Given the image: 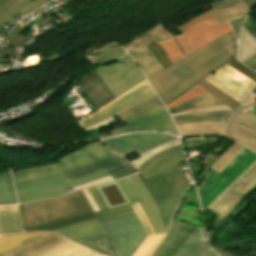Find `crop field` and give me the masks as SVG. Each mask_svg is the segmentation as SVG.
I'll return each instance as SVG.
<instances>
[{
	"mask_svg": "<svg viewBox=\"0 0 256 256\" xmlns=\"http://www.w3.org/2000/svg\"><path fill=\"white\" fill-rule=\"evenodd\" d=\"M109 175L106 169L82 178L67 181L63 173L15 184L18 202L37 201L69 193L66 189Z\"/></svg>",
	"mask_w": 256,
	"mask_h": 256,
	"instance_id": "obj_5",
	"label": "crop field"
},
{
	"mask_svg": "<svg viewBox=\"0 0 256 256\" xmlns=\"http://www.w3.org/2000/svg\"><path fill=\"white\" fill-rule=\"evenodd\" d=\"M246 16L239 18L237 20L234 21H230L232 28L234 30V33L236 35V38H238V34H239V30H240V25L243 22V20L245 19Z\"/></svg>",
	"mask_w": 256,
	"mask_h": 256,
	"instance_id": "obj_53",
	"label": "crop field"
},
{
	"mask_svg": "<svg viewBox=\"0 0 256 256\" xmlns=\"http://www.w3.org/2000/svg\"><path fill=\"white\" fill-rule=\"evenodd\" d=\"M115 155L99 142L87 144L83 149L61 158V163L12 172L14 182L35 179Z\"/></svg>",
	"mask_w": 256,
	"mask_h": 256,
	"instance_id": "obj_7",
	"label": "crop field"
},
{
	"mask_svg": "<svg viewBox=\"0 0 256 256\" xmlns=\"http://www.w3.org/2000/svg\"><path fill=\"white\" fill-rule=\"evenodd\" d=\"M256 187V163L247 170L232 186H230L209 208L208 210L217 213L213 223L210 238L216 225L229 213V211L239 202L240 198L248 191Z\"/></svg>",
	"mask_w": 256,
	"mask_h": 256,
	"instance_id": "obj_10",
	"label": "crop field"
},
{
	"mask_svg": "<svg viewBox=\"0 0 256 256\" xmlns=\"http://www.w3.org/2000/svg\"><path fill=\"white\" fill-rule=\"evenodd\" d=\"M204 256H216L213 252H212V250L209 248V250L205 253V255Z\"/></svg>",
	"mask_w": 256,
	"mask_h": 256,
	"instance_id": "obj_58",
	"label": "crop field"
},
{
	"mask_svg": "<svg viewBox=\"0 0 256 256\" xmlns=\"http://www.w3.org/2000/svg\"><path fill=\"white\" fill-rule=\"evenodd\" d=\"M30 1L32 0H0V26L3 23L8 24L10 20L6 18Z\"/></svg>",
	"mask_w": 256,
	"mask_h": 256,
	"instance_id": "obj_38",
	"label": "crop field"
},
{
	"mask_svg": "<svg viewBox=\"0 0 256 256\" xmlns=\"http://www.w3.org/2000/svg\"><path fill=\"white\" fill-rule=\"evenodd\" d=\"M88 190L100 210L96 212L99 220L134 212L131 204L109 209L97 186L89 187Z\"/></svg>",
	"mask_w": 256,
	"mask_h": 256,
	"instance_id": "obj_26",
	"label": "crop field"
},
{
	"mask_svg": "<svg viewBox=\"0 0 256 256\" xmlns=\"http://www.w3.org/2000/svg\"><path fill=\"white\" fill-rule=\"evenodd\" d=\"M128 52L141 67L147 78L164 70L147 45L133 47Z\"/></svg>",
	"mask_w": 256,
	"mask_h": 256,
	"instance_id": "obj_23",
	"label": "crop field"
},
{
	"mask_svg": "<svg viewBox=\"0 0 256 256\" xmlns=\"http://www.w3.org/2000/svg\"><path fill=\"white\" fill-rule=\"evenodd\" d=\"M49 234H52V233L32 232V233L11 234V235H5L3 237H0V254L8 250H11L13 248L30 243L34 240H37Z\"/></svg>",
	"mask_w": 256,
	"mask_h": 256,
	"instance_id": "obj_28",
	"label": "crop field"
},
{
	"mask_svg": "<svg viewBox=\"0 0 256 256\" xmlns=\"http://www.w3.org/2000/svg\"><path fill=\"white\" fill-rule=\"evenodd\" d=\"M207 93V91H205L202 87L200 86H196L193 89H191L189 92H187L186 94H184L182 97H180L179 99L171 102L170 104L166 105L167 109L186 100L192 99L194 97H197L199 95L205 94Z\"/></svg>",
	"mask_w": 256,
	"mask_h": 256,
	"instance_id": "obj_45",
	"label": "crop field"
},
{
	"mask_svg": "<svg viewBox=\"0 0 256 256\" xmlns=\"http://www.w3.org/2000/svg\"><path fill=\"white\" fill-rule=\"evenodd\" d=\"M203 22H217L212 9L201 14L200 16L192 19L191 21L187 22L186 24L178 27V29L182 33L184 31L192 28L193 26L201 24Z\"/></svg>",
	"mask_w": 256,
	"mask_h": 256,
	"instance_id": "obj_44",
	"label": "crop field"
},
{
	"mask_svg": "<svg viewBox=\"0 0 256 256\" xmlns=\"http://www.w3.org/2000/svg\"><path fill=\"white\" fill-rule=\"evenodd\" d=\"M25 232L52 230L95 219L82 192L20 205Z\"/></svg>",
	"mask_w": 256,
	"mask_h": 256,
	"instance_id": "obj_2",
	"label": "crop field"
},
{
	"mask_svg": "<svg viewBox=\"0 0 256 256\" xmlns=\"http://www.w3.org/2000/svg\"><path fill=\"white\" fill-rule=\"evenodd\" d=\"M218 21H230L244 16L249 9L242 0H222L211 4Z\"/></svg>",
	"mask_w": 256,
	"mask_h": 256,
	"instance_id": "obj_22",
	"label": "crop field"
},
{
	"mask_svg": "<svg viewBox=\"0 0 256 256\" xmlns=\"http://www.w3.org/2000/svg\"><path fill=\"white\" fill-rule=\"evenodd\" d=\"M23 232L18 205H0V233Z\"/></svg>",
	"mask_w": 256,
	"mask_h": 256,
	"instance_id": "obj_24",
	"label": "crop field"
},
{
	"mask_svg": "<svg viewBox=\"0 0 256 256\" xmlns=\"http://www.w3.org/2000/svg\"><path fill=\"white\" fill-rule=\"evenodd\" d=\"M0 256H8L6 253H4V254H2V255H0Z\"/></svg>",
	"mask_w": 256,
	"mask_h": 256,
	"instance_id": "obj_60",
	"label": "crop field"
},
{
	"mask_svg": "<svg viewBox=\"0 0 256 256\" xmlns=\"http://www.w3.org/2000/svg\"><path fill=\"white\" fill-rule=\"evenodd\" d=\"M75 242L106 235L98 219L52 230Z\"/></svg>",
	"mask_w": 256,
	"mask_h": 256,
	"instance_id": "obj_21",
	"label": "crop field"
},
{
	"mask_svg": "<svg viewBox=\"0 0 256 256\" xmlns=\"http://www.w3.org/2000/svg\"><path fill=\"white\" fill-rule=\"evenodd\" d=\"M205 80L240 103L256 85L251 79L238 73L228 65L217 70Z\"/></svg>",
	"mask_w": 256,
	"mask_h": 256,
	"instance_id": "obj_14",
	"label": "crop field"
},
{
	"mask_svg": "<svg viewBox=\"0 0 256 256\" xmlns=\"http://www.w3.org/2000/svg\"><path fill=\"white\" fill-rule=\"evenodd\" d=\"M164 235L165 234L148 236L134 256H149L162 241Z\"/></svg>",
	"mask_w": 256,
	"mask_h": 256,
	"instance_id": "obj_41",
	"label": "crop field"
},
{
	"mask_svg": "<svg viewBox=\"0 0 256 256\" xmlns=\"http://www.w3.org/2000/svg\"><path fill=\"white\" fill-rule=\"evenodd\" d=\"M225 123H193L177 126L180 136L200 134H220Z\"/></svg>",
	"mask_w": 256,
	"mask_h": 256,
	"instance_id": "obj_31",
	"label": "crop field"
},
{
	"mask_svg": "<svg viewBox=\"0 0 256 256\" xmlns=\"http://www.w3.org/2000/svg\"><path fill=\"white\" fill-rule=\"evenodd\" d=\"M0 236H3V235H0Z\"/></svg>",
	"mask_w": 256,
	"mask_h": 256,
	"instance_id": "obj_62",
	"label": "crop field"
},
{
	"mask_svg": "<svg viewBox=\"0 0 256 256\" xmlns=\"http://www.w3.org/2000/svg\"><path fill=\"white\" fill-rule=\"evenodd\" d=\"M174 40L185 58L149 78L165 105L179 98L211 73L235 59L237 50L232 31L188 56L176 38Z\"/></svg>",
	"mask_w": 256,
	"mask_h": 256,
	"instance_id": "obj_1",
	"label": "crop field"
},
{
	"mask_svg": "<svg viewBox=\"0 0 256 256\" xmlns=\"http://www.w3.org/2000/svg\"><path fill=\"white\" fill-rule=\"evenodd\" d=\"M184 161V156L182 150H179L177 152L168 154L161 158L160 160L153 163L151 166H149L147 169L142 171L141 173L144 175V177L147 179L163 170H166L172 166H175L181 162Z\"/></svg>",
	"mask_w": 256,
	"mask_h": 256,
	"instance_id": "obj_30",
	"label": "crop field"
},
{
	"mask_svg": "<svg viewBox=\"0 0 256 256\" xmlns=\"http://www.w3.org/2000/svg\"><path fill=\"white\" fill-rule=\"evenodd\" d=\"M175 139L178 138L163 133H142L120 136L104 140V142L114 152L125 158L135 151L138 152L140 156L157 146Z\"/></svg>",
	"mask_w": 256,
	"mask_h": 256,
	"instance_id": "obj_11",
	"label": "crop field"
},
{
	"mask_svg": "<svg viewBox=\"0 0 256 256\" xmlns=\"http://www.w3.org/2000/svg\"><path fill=\"white\" fill-rule=\"evenodd\" d=\"M129 203L139 201L155 234L165 233L157 206L140 179L132 181L128 176L116 180Z\"/></svg>",
	"mask_w": 256,
	"mask_h": 256,
	"instance_id": "obj_12",
	"label": "crop field"
},
{
	"mask_svg": "<svg viewBox=\"0 0 256 256\" xmlns=\"http://www.w3.org/2000/svg\"><path fill=\"white\" fill-rule=\"evenodd\" d=\"M30 34V32L18 28L14 35L11 37L3 51L0 53V63H3L5 60L11 59V54L15 51L17 46Z\"/></svg>",
	"mask_w": 256,
	"mask_h": 256,
	"instance_id": "obj_36",
	"label": "crop field"
},
{
	"mask_svg": "<svg viewBox=\"0 0 256 256\" xmlns=\"http://www.w3.org/2000/svg\"><path fill=\"white\" fill-rule=\"evenodd\" d=\"M255 162L256 154L244 147L220 172L212 169L197 188L203 211Z\"/></svg>",
	"mask_w": 256,
	"mask_h": 256,
	"instance_id": "obj_4",
	"label": "crop field"
},
{
	"mask_svg": "<svg viewBox=\"0 0 256 256\" xmlns=\"http://www.w3.org/2000/svg\"><path fill=\"white\" fill-rule=\"evenodd\" d=\"M78 243L99 251L103 254L109 256H117L107 235Z\"/></svg>",
	"mask_w": 256,
	"mask_h": 256,
	"instance_id": "obj_37",
	"label": "crop field"
},
{
	"mask_svg": "<svg viewBox=\"0 0 256 256\" xmlns=\"http://www.w3.org/2000/svg\"><path fill=\"white\" fill-rule=\"evenodd\" d=\"M126 124L127 125L118 128V130L113 131L114 135L125 132L146 130L177 132L165 106L138 116L126 122Z\"/></svg>",
	"mask_w": 256,
	"mask_h": 256,
	"instance_id": "obj_16",
	"label": "crop field"
},
{
	"mask_svg": "<svg viewBox=\"0 0 256 256\" xmlns=\"http://www.w3.org/2000/svg\"><path fill=\"white\" fill-rule=\"evenodd\" d=\"M79 85L98 109L115 99L113 93L103 83L95 70L87 73Z\"/></svg>",
	"mask_w": 256,
	"mask_h": 256,
	"instance_id": "obj_20",
	"label": "crop field"
},
{
	"mask_svg": "<svg viewBox=\"0 0 256 256\" xmlns=\"http://www.w3.org/2000/svg\"><path fill=\"white\" fill-rule=\"evenodd\" d=\"M161 41L160 38L157 36V34L154 32V30L151 28L139 37L135 38L125 46H123L125 49H128L130 47H133L135 45L140 44H148V43H155Z\"/></svg>",
	"mask_w": 256,
	"mask_h": 256,
	"instance_id": "obj_42",
	"label": "crop field"
},
{
	"mask_svg": "<svg viewBox=\"0 0 256 256\" xmlns=\"http://www.w3.org/2000/svg\"><path fill=\"white\" fill-rule=\"evenodd\" d=\"M209 248L203 228H197L190 239L173 256H203Z\"/></svg>",
	"mask_w": 256,
	"mask_h": 256,
	"instance_id": "obj_25",
	"label": "crop field"
},
{
	"mask_svg": "<svg viewBox=\"0 0 256 256\" xmlns=\"http://www.w3.org/2000/svg\"><path fill=\"white\" fill-rule=\"evenodd\" d=\"M155 91L149 85L147 81L126 93L122 97L115 100L113 103L105 107L104 109L98 111L97 113L91 115L89 118L78 123L81 128L87 129L153 95H155Z\"/></svg>",
	"mask_w": 256,
	"mask_h": 256,
	"instance_id": "obj_13",
	"label": "crop field"
},
{
	"mask_svg": "<svg viewBox=\"0 0 256 256\" xmlns=\"http://www.w3.org/2000/svg\"><path fill=\"white\" fill-rule=\"evenodd\" d=\"M243 147L234 142L210 167L220 171Z\"/></svg>",
	"mask_w": 256,
	"mask_h": 256,
	"instance_id": "obj_39",
	"label": "crop field"
},
{
	"mask_svg": "<svg viewBox=\"0 0 256 256\" xmlns=\"http://www.w3.org/2000/svg\"><path fill=\"white\" fill-rule=\"evenodd\" d=\"M132 206H133L135 212L137 213L139 219L141 220L144 228L146 229L148 235L154 234V232H153L151 226L149 225V223H148V221H147V219H146V217H145V215H144V213H143L139 203L138 202L137 203H133Z\"/></svg>",
	"mask_w": 256,
	"mask_h": 256,
	"instance_id": "obj_49",
	"label": "crop field"
},
{
	"mask_svg": "<svg viewBox=\"0 0 256 256\" xmlns=\"http://www.w3.org/2000/svg\"><path fill=\"white\" fill-rule=\"evenodd\" d=\"M106 168L114 179L133 174L136 171L134 166L129 162L121 159L117 155L99 160L76 169L64 172L67 180L85 176L87 174L96 172L98 170Z\"/></svg>",
	"mask_w": 256,
	"mask_h": 256,
	"instance_id": "obj_18",
	"label": "crop field"
},
{
	"mask_svg": "<svg viewBox=\"0 0 256 256\" xmlns=\"http://www.w3.org/2000/svg\"><path fill=\"white\" fill-rule=\"evenodd\" d=\"M249 68H251L252 70H254L256 72V63Z\"/></svg>",
	"mask_w": 256,
	"mask_h": 256,
	"instance_id": "obj_59",
	"label": "crop field"
},
{
	"mask_svg": "<svg viewBox=\"0 0 256 256\" xmlns=\"http://www.w3.org/2000/svg\"><path fill=\"white\" fill-rule=\"evenodd\" d=\"M161 47L167 54L170 61L173 63L177 62L178 60L184 58L180 49L176 45L175 41L173 39L160 43Z\"/></svg>",
	"mask_w": 256,
	"mask_h": 256,
	"instance_id": "obj_43",
	"label": "crop field"
},
{
	"mask_svg": "<svg viewBox=\"0 0 256 256\" xmlns=\"http://www.w3.org/2000/svg\"><path fill=\"white\" fill-rule=\"evenodd\" d=\"M242 26L256 38V22L249 15Z\"/></svg>",
	"mask_w": 256,
	"mask_h": 256,
	"instance_id": "obj_51",
	"label": "crop field"
},
{
	"mask_svg": "<svg viewBox=\"0 0 256 256\" xmlns=\"http://www.w3.org/2000/svg\"><path fill=\"white\" fill-rule=\"evenodd\" d=\"M71 1H74V0H70V1H68V3L71 2ZM101 1H102V0H101Z\"/></svg>",
	"mask_w": 256,
	"mask_h": 256,
	"instance_id": "obj_61",
	"label": "crop field"
},
{
	"mask_svg": "<svg viewBox=\"0 0 256 256\" xmlns=\"http://www.w3.org/2000/svg\"><path fill=\"white\" fill-rule=\"evenodd\" d=\"M233 110L206 112L173 118L176 125L193 122H227Z\"/></svg>",
	"mask_w": 256,
	"mask_h": 256,
	"instance_id": "obj_29",
	"label": "crop field"
},
{
	"mask_svg": "<svg viewBox=\"0 0 256 256\" xmlns=\"http://www.w3.org/2000/svg\"><path fill=\"white\" fill-rule=\"evenodd\" d=\"M237 59L248 67L256 62V40L243 27H241Z\"/></svg>",
	"mask_w": 256,
	"mask_h": 256,
	"instance_id": "obj_27",
	"label": "crop field"
},
{
	"mask_svg": "<svg viewBox=\"0 0 256 256\" xmlns=\"http://www.w3.org/2000/svg\"><path fill=\"white\" fill-rule=\"evenodd\" d=\"M17 203L10 172L0 173V204Z\"/></svg>",
	"mask_w": 256,
	"mask_h": 256,
	"instance_id": "obj_35",
	"label": "crop field"
},
{
	"mask_svg": "<svg viewBox=\"0 0 256 256\" xmlns=\"http://www.w3.org/2000/svg\"><path fill=\"white\" fill-rule=\"evenodd\" d=\"M160 106H163V103L160 101V99L156 95L128 110H125L115 115V117L120 122H123Z\"/></svg>",
	"mask_w": 256,
	"mask_h": 256,
	"instance_id": "obj_32",
	"label": "crop field"
},
{
	"mask_svg": "<svg viewBox=\"0 0 256 256\" xmlns=\"http://www.w3.org/2000/svg\"><path fill=\"white\" fill-rule=\"evenodd\" d=\"M227 109H231V108L227 107L226 105H222V106H216V107L199 108L196 110L185 111V112L173 114L172 116L175 117V116H181V115L191 114V113H199V112L215 111V110H227Z\"/></svg>",
	"mask_w": 256,
	"mask_h": 256,
	"instance_id": "obj_50",
	"label": "crop field"
},
{
	"mask_svg": "<svg viewBox=\"0 0 256 256\" xmlns=\"http://www.w3.org/2000/svg\"><path fill=\"white\" fill-rule=\"evenodd\" d=\"M95 69L116 98L146 80L129 54L114 64Z\"/></svg>",
	"mask_w": 256,
	"mask_h": 256,
	"instance_id": "obj_9",
	"label": "crop field"
},
{
	"mask_svg": "<svg viewBox=\"0 0 256 256\" xmlns=\"http://www.w3.org/2000/svg\"><path fill=\"white\" fill-rule=\"evenodd\" d=\"M49 0H34L30 3H28L27 5H25L24 7H20L21 9H19L18 11L14 12L11 16H9V19H12L14 16H16L19 12L26 15L28 12L32 11L33 9L37 8L38 6L44 4L45 2H47Z\"/></svg>",
	"mask_w": 256,
	"mask_h": 256,
	"instance_id": "obj_48",
	"label": "crop field"
},
{
	"mask_svg": "<svg viewBox=\"0 0 256 256\" xmlns=\"http://www.w3.org/2000/svg\"><path fill=\"white\" fill-rule=\"evenodd\" d=\"M256 93L252 92L248 98L243 102L242 106H245L246 108H250L255 102H256Z\"/></svg>",
	"mask_w": 256,
	"mask_h": 256,
	"instance_id": "obj_54",
	"label": "crop field"
},
{
	"mask_svg": "<svg viewBox=\"0 0 256 256\" xmlns=\"http://www.w3.org/2000/svg\"><path fill=\"white\" fill-rule=\"evenodd\" d=\"M196 228L174 219L166 237L152 256H172L188 240Z\"/></svg>",
	"mask_w": 256,
	"mask_h": 256,
	"instance_id": "obj_19",
	"label": "crop field"
},
{
	"mask_svg": "<svg viewBox=\"0 0 256 256\" xmlns=\"http://www.w3.org/2000/svg\"><path fill=\"white\" fill-rule=\"evenodd\" d=\"M240 106L224 130V136L237 140L256 152V115Z\"/></svg>",
	"mask_w": 256,
	"mask_h": 256,
	"instance_id": "obj_17",
	"label": "crop field"
},
{
	"mask_svg": "<svg viewBox=\"0 0 256 256\" xmlns=\"http://www.w3.org/2000/svg\"><path fill=\"white\" fill-rule=\"evenodd\" d=\"M113 43H115V42L107 43V44H104V45H101V46H97V47H93V48H90V49L84 51L83 53L86 56V55H88V54H90L92 52L99 51V50H101V49H103V48H105V47H107V46H109L110 44H113Z\"/></svg>",
	"mask_w": 256,
	"mask_h": 256,
	"instance_id": "obj_55",
	"label": "crop field"
},
{
	"mask_svg": "<svg viewBox=\"0 0 256 256\" xmlns=\"http://www.w3.org/2000/svg\"><path fill=\"white\" fill-rule=\"evenodd\" d=\"M200 86H202L204 89H206L209 93H211L212 95H214L216 98H218L219 100H221L223 103H225L227 106L231 107L233 110H235L237 108V106L240 104L237 101H235L234 99H232L231 97H229L228 95H226L225 93H223L222 91H220L219 89H217L216 87H214L213 85H211L210 83H208L207 81H202L200 84H198Z\"/></svg>",
	"mask_w": 256,
	"mask_h": 256,
	"instance_id": "obj_40",
	"label": "crop field"
},
{
	"mask_svg": "<svg viewBox=\"0 0 256 256\" xmlns=\"http://www.w3.org/2000/svg\"><path fill=\"white\" fill-rule=\"evenodd\" d=\"M248 112L256 114V103L248 110Z\"/></svg>",
	"mask_w": 256,
	"mask_h": 256,
	"instance_id": "obj_57",
	"label": "crop field"
},
{
	"mask_svg": "<svg viewBox=\"0 0 256 256\" xmlns=\"http://www.w3.org/2000/svg\"><path fill=\"white\" fill-rule=\"evenodd\" d=\"M162 41L172 38L168 31L160 24L153 28Z\"/></svg>",
	"mask_w": 256,
	"mask_h": 256,
	"instance_id": "obj_52",
	"label": "crop field"
},
{
	"mask_svg": "<svg viewBox=\"0 0 256 256\" xmlns=\"http://www.w3.org/2000/svg\"><path fill=\"white\" fill-rule=\"evenodd\" d=\"M231 30L228 22L208 23L190 29L176 38L188 55Z\"/></svg>",
	"mask_w": 256,
	"mask_h": 256,
	"instance_id": "obj_15",
	"label": "crop field"
},
{
	"mask_svg": "<svg viewBox=\"0 0 256 256\" xmlns=\"http://www.w3.org/2000/svg\"><path fill=\"white\" fill-rule=\"evenodd\" d=\"M120 256H133L148 236L136 213L101 221Z\"/></svg>",
	"mask_w": 256,
	"mask_h": 256,
	"instance_id": "obj_6",
	"label": "crop field"
},
{
	"mask_svg": "<svg viewBox=\"0 0 256 256\" xmlns=\"http://www.w3.org/2000/svg\"><path fill=\"white\" fill-rule=\"evenodd\" d=\"M149 49L152 51V53L155 55V57L158 59V61L161 63V65L164 67H168L171 65V62L167 58L166 54L160 47L159 43L148 45Z\"/></svg>",
	"mask_w": 256,
	"mask_h": 256,
	"instance_id": "obj_46",
	"label": "crop field"
},
{
	"mask_svg": "<svg viewBox=\"0 0 256 256\" xmlns=\"http://www.w3.org/2000/svg\"><path fill=\"white\" fill-rule=\"evenodd\" d=\"M181 149L180 145L174 146L172 148L166 149L156 155H154L152 158H150L149 160H147L146 162H144L142 165H140L139 167H137V169L141 172L142 170H144L145 168H147L149 165H151L153 162H155L157 159L163 157L164 155L177 151Z\"/></svg>",
	"mask_w": 256,
	"mask_h": 256,
	"instance_id": "obj_47",
	"label": "crop field"
},
{
	"mask_svg": "<svg viewBox=\"0 0 256 256\" xmlns=\"http://www.w3.org/2000/svg\"><path fill=\"white\" fill-rule=\"evenodd\" d=\"M213 249H215L221 256H232L231 254L227 253L225 250H222L216 247H214Z\"/></svg>",
	"mask_w": 256,
	"mask_h": 256,
	"instance_id": "obj_56",
	"label": "crop field"
},
{
	"mask_svg": "<svg viewBox=\"0 0 256 256\" xmlns=\"http://www.w3.org/2000/svg\"><path fill=\"white\" fill-rule=\"evenodd\" d=\"M138 176L153 196L166 232L188 185L184 173L177 165L148 180L141 173Z\"/></svg>",
	"mask_w": 256,
	"mask_h": 256,
	"instance_id": "obj_3",
	"label": "crop field"
},
{
	"mask_svg": "<svg viewBox=\"0 0 256 256\" xmlns=\"http://www.w3.org/2000/svg\"><path fill=\"white\" fill-rule=\"evenodd\" d=\"M125 54V50L119 44H113L112 46L89 55L91 63L94 65L107 64L111 61L119 59Z\"/></svg>",
	"mask_w": 256,
	"mask_h": 256,
	"instance_id": "obj_34",
	"label": "crop field"
},
{
	"mask_svg": "<svg viewBox=\"0 0 256 256\" xmlns=\"http://www.w3.org/2000/svg\"><path fill=\"white\" fill-rule=\"evenodd\" d=\"M9 256H102L56 234L6 252Z\"/></svg>",
	"mask_w": 256,
	"mask_h": 256,
	"instance_id": "obj_8",
	"label": "crop field"
},
{
	"mask_svg": "<svg viewBox=\"0 0 256 256\" xmlns=\"http://www.w3.org/2000/svg\"><path fill=\"white\" fill-rule=\"evenodd\" d=\"M223 104L221 101L213 97L211 94L207 93L200 97L194 98L192 100L183 102L171 109H169L170 113H176L185 110L196 109L199 107H206V106H215Z\"/></svg>",
	"mask_w": 256,
	"mask_h": 256,
	"instance_id": "obj_33",
	"label": "crop field"
}]
</instances>
